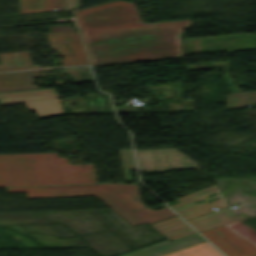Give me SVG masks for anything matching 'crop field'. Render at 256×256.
Here are the masks:
<instances>
[{"mask_svg":"<svg viewBox=\"0 0 256 256\" xmlns=\"http://www.w3.org/2000/svg\"><path fill=\"white\" fill-rule=\"evenodd\" d=\"M30 75L33 77L46 76L45 74H38L36 71L0 74V91L34 87L31 81L33 77H29Z\"/></svg>","mask_w":256,"mask_h":256,"instance_id":"obj_13","label":"crop field"},{"mask_svg":"<svg viewBox=\"0 0 256 256\" xmlns=\"http://www.w3.org/2000/svg\"><path fill=\"white\" fill-rule=\"evenodd\" d=\"M104 202L108 207L120 215L132 226L147 222L148 224L175 216L168 208L152 211L144 208L132 211L114 196L97 197Z\"/></svg>","mask_w":256,"mask_h":256,"instance_id":"obj_7","label":"crop field"},{"mask_svg":"<svg viewBox=\"0 0 256 256\" xmlns=\"http://www.w3.org/2000/svg\"><path fill=\"white\" fill-rule=\"evenodd\" d=\"M120 158L124 170L125 180L130 182L128 168L134 169L133 157L131 150L120 151ZM135 170V169H134Z\"/></svg>","mask_w":256,"mask_h":256,"instance_id":"obj_20","label":"crop field"},{"mask_svg":"<svg viewBox=\"0 0 256 256\" xmlns=\"http://www.w3.org/2000/svg\"><path fill=\"white\" fill-rule=\"evenodd\" d=\"M171 169L198 168V165L173 149H167Z\"/></svg>","mask_w":256,"mask_h":256,"instance_id":"obj_19","label":"crop field"},{"mask_svg":"<svg viewBox=\"0 0 256 256\" xmlns=\"http://www.w3.org/2000/svg\"><path fill=\"white\" fill-rule=\"evenodd\" d=\"M175 32H176L178 44H179V46H181V44H180V36H181V34H182V31H175Z\"/></svg>","mask_w":256,"mask_h":256,"instance_id":"obj_22","label":"crop field"},{"mask_svg":"<svg viewBox=\"0 0 256 256\" xmlns=\"http://www.w3.org/2000/svg\"><path fill=\"white\" fill-rule=\"evenodd\" d=\"M17 104H24L26 109L37 112L39 115V119L56 115H63L62 108L58 100L27 102Z\"/></svg>","mask_w":256,"mask_h":256,"instance_id":"obj_16","label":"crop field"},{"mask_svg":"<svg viewBox=\"0 0 256 256\" xmlns=\"http://www.w3.org/2000/svg\"><path fill=\"white\" fill-rule=\"evenodd\" d=\"M205 241L198 234L169 242L168 240L119 256H162L187 246Z\"/></svg>","mask_w":256,"mask_h":256,"instance_id":"obj_8","label":"crop field"},{"mask_svg":"<svg viewBox=\"0 0 256 256\" xmlns=\"http://www.w3.org/2000/svg\"><path fill=\"white\" fill-rule=\"evenodd\" d=\"M49 45L64 56L62 66L87 64L77 31L48 34Z\"/></svg>","mask_w":256,"mask_h":256,"instance_id":"obj_6","label":"crop field"},{"mask_svg":"<svg viewBox=\"0 0 256 256\" xmlns=\"http://www.w3.org/2000/svg\"><path fill=\"white\" fill-rule=\"evenodd\" d=\"M81 0H64V10L79 9Z\"/></svg>","mask_w":256,"mask_h":256,"instance_id":"obj_21","label":"crop field"},{"mask_svg":"<svg viewBox=\"0 0 256 256\" xmlns=\"http://www.w3.org/2000/svg\"><path fill=\"white\" fill-rule=\"evenodd\" d=\"M165 256H223L207 242L170 253Z\"/></svg>","mask_w":256,"mask_h":256,"instance_id":"obj_17","label":"crop field"},{"mask_svg":"<svg viewBox=\"0 0 256 256\" xmlns=\"http://www.w3.org/2000/svg\"><path fill=\"white\" fill-rule=\"evenodd\" d=\"M138 107L137 106H134V110H131V111H127V112H140L139 110H137Z\"/></svg>","mask_w":256,"mask_h":256,"instance_id":"obj_23","label":"crop field"},{"mask_svg":"<svg viewBox=\"0 0 256 256\" xmlns=\"http://www.w3.org/2000/svg\"><path fill=\"white\" fill-rule=\"evenodd\" d=\"M58 99L53 89L0 93V104Z\"/></svg>","mask_w":256,"mask_h":256,"instance_id":"obj_12","label":"crop field"},{"mask_svg":"<svg viewBox=\"0 0 256 256\" xmlns=\"http://www.w3.org/2000/svg\"><path fill=\"white\" fill-rule=\"evenodd\" d=\"M82 166L56 153L0 155V187L97 183L93 165Z\"/></svg>","mask_w":256,"mask_h":256,"instance_id":"obj_2","label":"crop field"},{"mask_svg":"<svg viewBox=\"0 0 256 256\" xmlns=\"http://www.w3.org/2000/svg\"><path fill=\"white\" fill-rule=\"evenodd\" d=\"M63 10V0H20L19 14Z\"/></svg>","mask_w":256,"mask_h":256,"instance_id":"obj_15","label":"crop field"},{"mask_svg":"<svg viewBox=\"0 0 256 256\" xmlns=\"http://www.w3.org/2000/svg\"><path fill=\"white\" fill-rule=\"evenodd\" d=\"M150 226L169 241L196 233L177 216L150 224Z\"/></svg>","mask_w":256,"mask_h":256,"instance_id":"obj_11","label":"crop field"},{"mask_svg":"<svg viewBox=\"0 0 256 256\" xmlns=\"http://www.w3.org/2000/svg\"><path fill=\"white\" fill-rule=\"evenodd\" d=\"M0 71L35 69L28 52H10L0 54Z\"/></svg>","mask_w":256,"mask_h":256,"instance_id":"obj_14","label":"crop field"},{"mask_svg":"<svg viewBox=\"0 0 256 256\" xmlns=\"http://www.w3.org/2000/svg\"><path fill=\"white\" fill-rule=\"evenodd\" d=\"M218 192L222 199L218 201L211 202L207 204L205 199L203 203H194L196 201L202 200L207 197L208 194ZM214 196V197H218ZM211 197V198H214ZM209 198V199H211ZM179 203L171 205L170 207L173 208L183 219L187 220L208 212H211L212 208H221L227 206L225 203V199L221 196L218 188L216 185L203 189L201 191L189 194L187 196L181 197L176 199Z\"/></svg>","mask_w":256,"mask_h":256,"instance_id":"obj_5","label":"crop field"},{"mask_svg":"<svg viewBox=\"0 0 256 256\" xmlns=\"http://www.w3.org/2000/svg\"><path fill=\"white\" fill-rule=\"evenodd\" d=\"M16 192H26L27 198L114 195L132 210L145 207L140 203L137 185L106 184L7 188V193Z\"/></svg>","mask_w":256,"mask_h":256,"instance_id":"obj_3","label":"crop field"},{"mask_svg":"<svg viewBox=\"0 0 256 256\" xmlns=\"http://www.w3.org/2000/svg\"><path fill=\"white\" fill-rule=\"evenodd\" d=\"M140 171L170 169L166 149L135 150Z\"/></svg>","mask_w":256,"mask_h":256,"instance_id":"obj_9","label":"crop field"},{"mask_svg":"<svg viewBox=\"0 0 256 256\" xmlns=\"http://www.w3.org/2000/svg\"><path fill=\"white\" fill-rule=\"evenodd\" d=\"M256 104V91L234 93L226 96V108L242 107Z\"/></svg>","mask_w":256,"mask_h":256,"instance_id":"obj_18","label":"crop field"},{"mask_svg":"<svg viewBox=\"0 0 256 256\" xmlns=\"http://www.w3.org/2000/svg\"><path fill=\"white\" fill-rule=\"evenodd\" d=\"M76 13L93 65L182 56L174 30L191 24H144L135 5L122 1Z\"/></svg>","mask_w":256,"mask_h":256,"instance_id":"obj_1","label":"crop field"},{"mask_svg":"<svg viewBox=\"0 0 256 256\" xmlns=\"http://www.w3.org/2000/svg\"><path fill=\"white\" fill-rule=\"evenodd\" d=\"M200 234L228 256H256V246L222 225ZM220 250V251H221ZM226 255V256H227Z\"/></svg>","mask_w":256,"mask_h":256,"instance_id":"obj_4","label":"crop field"},{"mask_svg":"<svg viewBox=\"0 0 256 256\" xmlns=\"http://www.w3.org/2000/svg\"><path fill=\"white\" fill-rule=\"evenodd\" d=\"M245 217L246 216L244 215L235 217L229 208H225L220 211L192 219L187 221V223L193 226L198 232H201Z\"/></svg>","mask_w":256,"mask_h":256,"instance_id":"obj_10","label":"crop field"}]
</instances>
